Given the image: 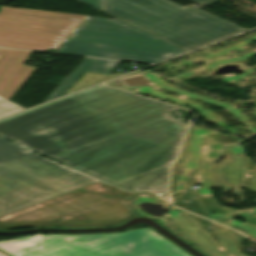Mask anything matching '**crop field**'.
Here are the masks:
<instances>
[{"label": "crop field", "mask_w": 256, "mask_h": 256, "mask_svg": "<svg viewBox=\"0 0 256 256\" xmlns=\"http://www.w3.org/2000/svg\"><path fill=\"white\" fill-rule=\"evenodd\" d=\"M174 106L96 86L0 120V136L133 192L167 194L187 125Z\"/></svg>", "instance_id": "crop-field-1"}, {"label": "crop field", "mask_w": 256, "mask_h": 256, "mask_svg": "<svg viewBox=\"0 0 256 256\" xmlns=\"http://www.w3.org/2000/svg\"><path fill=\"white\" fill-rule=\"evenodd\" d=\"M134 196L0 139V229L120 225Z\"/></svg>", "instance_id": "crop-field-2"}, {"label": "crop field", "mask_w": 256, "mask_h": 256, "mask_svg": "<svg viewBox=\"0 0 256 256\" xmlns=\"http://www.w3.org/2000/svg\"><path fill=\"white\" fill-rule=\"evenodd\" d=\"M204 4L210 0H190ZM103 12L186 51L247 30L167 0H101Z\"/></svg>", "instance_id": "crop-field-3"}, {"label": "crop field", "mask_w": 256, "mask_h": 256, "mask_svg": "<svg viewBox=\"0 0 256 256\" xmlns=\"http://www.w3.org/2000/svg\"><path fill=\"white\" fill-rule=\"evenodd\" d=\"M10 256H190L150 228L99 235H34L0 241Z\"/></svg>", "instance_id": "crop-field-4"}, {"label": "crop field", "mask_w": 256, "mask_h": 256, "mask_svg": "<svg viewBox=\"0 0 256 256\" xmlns=\"http://www.w3.org/2000/svg\"><path fill=\"white\" fill-rule=\"evenodd\" d=\"M56 52L149 63H157L166 58L180 54L178 52L109 46L71 41H66Z\"/></svg>", "instance_id": "crop-field-5"}, {"label": "crop field", "mask_w": 256, "mask_h": 256, "mask_svg": "<svg viewBox=\"0 0 256 256\" xmlns=\"http://www.w3.org/2000/svg\"><path fill=\"white\" fill-rule=\"evenodd\" d=\"M77 31L159 40L117 19L89 16Z\"/></svg>", "instance_id": "crop-field-6"}, {"label": "crop field", "mask_w": 256, "mask_h": 256, "mask_svg": "<svg viewBox=\"0 0 256 256\" xmlns=\"http://www.w3.org/2000/svg\"><path fill=\"white\" fill-rule=\"evenodd\" d=\"M68 40L183 52L165 42L75 32Z\"/></svg>", "instance_id": "crop-field-7"}, {"label": "crop field", "mask_w": 256, "mask_h": 256, "mask_svg": "<svg viewBox=\"0 0 256 256\" xmlns=\"http://www.w3.org/2000/svg\"><path fill=\"white\" fill-rule=\"evenodd\" d=\"M95 60L96 59L85 58L44 102L62 96Z\"/></svg>", "instance_id": "crop-field-8"}, {"label": "crop field", "mask_w": 256, "mask_h": 256, "mask_svg": "<svg viewBox=\"0 0 256 256\" xmlns=\"http://www.w3.org/2000/svg\"><path fill=\"white\" fill-rule=\"evenodd\" d=\"M119 63L118 61L97 59L86 72L109 74Z\"/></svg>", "instance_id": "crop-field-9"}, {"label": "crop field", "mask_w": 256, "mask_h": 256, "mask_svg": "<svg viewBox=\"0 0 256 256\" xmlns=\"http://www.w3.org/2000/svg\"><path fill=\"white\" fill-rule=\"evenodd\" d=\"M25 109L0 97V118Z\"/></svg>", "instance_id": "crop-field-10"}, {"label": "crop field", "mask_w": 256, "mask_h": 256, "mask_svg": "<svg viewBox=\"0 0 256 256\" xmlns=\"http://www.w3.org/2000/svg\"><path fill=\"white\" fill-rule=\"evenodd\" d=\"M81 1H83V2H85V3H87V4H89V5H91V6H93V7L102 11L100 0H81Z\"/></svg>", "instance_id": "crop-field-11"}, {"label": "crop field", "mask_w": 256, "mask_h": 256, "mask_svg": "<svg viewBox=\"0 0 256 256\" xmlns=\"http://www.w3.org/2000/svg\"><path fill=\"white\" fill-rule=\"evenodd\" d=\"M0 256H6V255H4V254L0 253Z\"/></svg>", "instance_id": "crop-field-12"}]
</instances>
